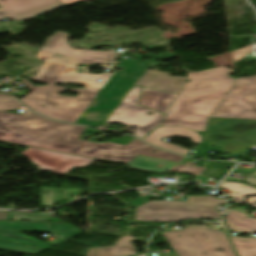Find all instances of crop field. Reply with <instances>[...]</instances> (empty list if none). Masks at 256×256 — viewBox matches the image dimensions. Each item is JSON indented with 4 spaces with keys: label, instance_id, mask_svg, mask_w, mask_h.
Returning <instances> with one entry per match:
<instances>
[{
    "label": "crop field",
    "instance_id": "crop-field-8",
    "mask_svg": "<svg viewBox=\"0 0 256 256\" xmlns=\"http://www.w3.org/2000/svg\"><path fill=\"white\" fill-rule=\"evenodd\" d=\"M210 117L256 119V76L238 78Z\"/></svg>",
    "mask_w": 256,
    "mask_h": 256
},
{
    "label": "crop field",
    "instance_id": "crop-field-10",
    "mask_svg": "<svg viewBox=\"0 0 256 256\" xmlns=\"http://www.w3.org/2000/svg\"><path fill=\"white\" fill-rule=\"evenodd\" d=\"M69 36V33L66 32H56L55 35L50 36L43 44L38 57L47 61L55 51H58L65 55L75 57L78 63L88 65L92 63L112 65L116 55L115 50H110L109 52L75 50L67 44ZM108 57H110V59H108Z\"/></svg>",
    "mask_w": 256,
    "mask_h": 256
},
{
    "label": "crop field",
    "instance_id": "crop-field-6",
    "mask_svg": "<svg viewBox=\"0 0 256 256\" xmlns=\"http://www.w3.org/2000/svg\"><path fill=\"white\" fill-rule=\"evenodd\" d=\"M179 256H236L225 234L193 226L162 233Z\"/></svg>",
    "mask_w": 256,
    "mask_h": 256
},
{
    "label": "crop field",
    "instance_id": "crop-field-32",
    "mask_svg": "<svg viewBox=\"0 0 256 256\" xmlns=\"http://www.w3.org/2000/svg\"><path fill=\"white\" fill-rule=\"evenodd\" d=\"M165 256H178L177 254H173V255H165Z\"/></svg>",
    "mask_w": 256,
    "mask_h": 256
},
{
    "label": "crop field",
    "instance_id": "crop-field-12",
    "mask_svg": "<svg viewBox=\"0 0 256 256\" xmlns=\"http://www.w3.org/2000/svg\"><path fill=\"white\" fill-rule=\"evenodd\" d=\"M63 6L59 0H0V20H24Z\"/></svg>",
    "mask_w": 256,
    "mask_h": 256
},
{
    "label": "crop field",
    "instance_id": "crop-field-14",
    "mask_svg": "<svg viewBox=\"0 0 256 256\" xmlns=\"http://www.w3.org/2000/svg\"><path fill=\"white\" fill-rule=\"evenodd\" d=\"M20 230L50 231L46 223L0 221V239L49 248L32 238L22 236Z\"/></svg>",
    "mask_w": 256,
    "mask_h": 256
},
{
    "label": "crop field",
    "instance_id": "crop-field-20",
    "mask_svg": "<svg viewBox=\"0 0 256 256\" xmlns=\"http://www.w3.org/2000/svg\"><path fill=\"white\" fill-rule=\"evenodd\" d=\"M19 107H22V105L18 103L15 99L0 93V111L7 112Z\"/></svg>",
    "mask_w": 256,
    "mask_h": 256
},
{
    "label": "crop field",
    "instance_id": "crop-field-25",
    "mask_svg": "<svg viewBox=\"0 0 256 256\" xmlns=\"http://www.w3.org/2000/svg\"><path fill=\"white\" fill-rule=\"evenodd\" d=\"M252 50V45L232 52L233 62H237L243 58L250 56V51Z\"/></svg>",
    "mask_w": 256,
    "mask_h": 256
},
{
    "label": "crop field",
    "instance_id": "crop-field-22",
    "mask_svg": "<svg viewBox=\"0 0 256 256\" xmlns=\"http://www.w3.org/2000/svg\"><path fill=\"white\" fill-rule=\"evenodd\" d=\"M206 167L177 165L169 170L199 175Z\"/></svg>",
    "mask_w": 256,
    "mask_h": 256
},
{
    "label": "crop field",
    "instance_id": "crop-field-19",
    "mask_svg": "<svg viewBox=\"0 0 256 256\" xmlns=\"http://www.w3.org/2000/svg\"><path fill=\"white\" fill-rule=\"evenodd\" d=\"M0 249L16 251V252L32 254V255H36L45 250V249H39V248L29 247L25 245L5 242L1 240H0Z\"/></svg>",
    "mask_w": 256,
    "mask_h": 256
},
{
    "label": "crop field",
    "instance_id": "crop-field-23",
    "mask_svg": "<svg viewBox=\"0 0 256 256\" xmlns=\"http://www.w3.org/2000/svg\"><path fill=\"white\" fill-rule=\"evenodd\" d=\"M48 61H56L61 63H66L70 66H76L77 67V61L75 58L65 56L61 53L55 52L51 58Z\"/></svg>",
    "mask_w": 256,
    "mask_h": 256
},
{
    "label": "crop field",
    "instance_id": "crop-field-21",
    "mask_svg": "<svg viewBox=\"0 0 256 256\" xmlns=\"http://www.w3.org/2000/svg\"><path fill=\"white\" fill-rule=\"evenodd\" d=\"M41 205L42 206H53V199H54V189L41 187Z\"/></svg>",
    "mask_w": 256,
    "mask_h": 256
},
{
    "label": "crop field",
    "instance_id": "crop-field-31",
    "mask_svg": "<svg viewBox=\"0 0 256 256\" xmlns=\"http://www.w3.org/2000/svg\"><path fill=\"white\" fill-rule=\"evenodd\" d=\"M34 113H32V112H30V111H28V110H26V112L24 113V114H22V115H28V116H31V115H33Z\"/></svg>",
    "mask_w": 256,
    "mask_h": 256
},
{
    "label": "crop field",
    "instance_id": "crop-field-26",
    "mask_svg": "<svg viewBox=\"0 0 256 256\" xmlns=\"http://www.w3.org/2000/svg\"><path fill=\"white\" fill-rule=\"evenodd\" d=\"M11 219L18 220H33L36 221V216L29 213H10Z\"/></svg>",
    "mask_w": 256,
    "mask_h": 256
},
{
    "label": "crop field",
    "instance_id": "crop-field-15",
    "mask_svg": "<svg viewBox=\"0 0 256 256\" xmlns=\"http://www.w3.org/2000/svg\"><path fill=\"white\" fill-rule=\"evenodd\" d=\"M171 136H181V137H190L194 143L199 144L203 140L201 139L200 135L195 132L191 131L182 127H161L155 130L152 134H150L144 140L159 147L162 149H168L170 151L182 153L186 155L190 150L180 148L174 145L167 144L160 140V138H167Z\"/></svg>",
    "mask_w": 256,
    "mask_h": 256
},
{
    "label": "crop field",
    "instance_id": "crop-field-28",
    "mask_svg": "<svg viewBox=\"0 0 256 256\" xmlns=\"http://www.w3.org/2000/svg\"><path fill=\"white\" fill-rule=\"evenodd\" d=\"M246 204L251 205L252 207H256V197H250L247 199Z\"/></svg>",
    "mask_w": 256,
    "mask_h": 256
},
{
    "label": "crop field",
    "instance_id": "crop-field-2",
    "mask_svg": "<svg viewBox=\"0 0 256 256\" xmlns=\"http://www.w3.org/2000/svg\"><path fill=\"white\" fill-rule=\"evenodd\" d=\"M84 130L85 127L50 121L37 114L28 117L0 112V141L127 164L137 155L177 163L183 159V156L158 150L138 139L125 146L79 140ZM152 150L157 152L152 153Z\"/></svg>",
    "mask_w": 256,
    "mask_h": 256
},
{
    "label": "crop field",
    "instance_id": "crop-field-18",
    "mask_svg": "<svg viewBox=\"0 0 256 256\" xmlns=\"http://www.w3.org/2000/svg\"><path fill=\"white\" fill-rule=\"evenodd\" d=\"M220 186L235 192L231 197L239 204H244L247 196L256 195V189L247 184L224 181Z\"/></svg>",
    "mask_w": 256,
    "mask_h": 256
},
{
    "label": "crop field",
    "instance_id": "crop-field-16",
    "mask_svg": "<svg viewBox=\"0 0 256 256\" xmlns=\"http://www.w3.org/2000/svg\"><path fill=\"white\" fill-rule=\"evenodd\" d=\"M177 95L143 89L139 105L149 107L166 115Z\"/></svg>",
    "mask_w": 256,
    "mask_h": 256
},
{
    "label": "crop field",
    "instance_id": "crop-field-29",
    "mask_svg": "<svg viewBox=\"0 0 256 256\" xmlns=\"http://www.w3.org/2000/svg\"><path fill=\"white\" fill-rule=\"evenodd\" d=\"M30 90H33L34 87L27 81V80H21Z\"/></svg>",
    "mask_w": 256,
    "mask_h": 256
},
{
    "label": "crop field",
    "instance_id": "crop-field-9",
    "mask_svg": "<svg viewBox=\"0 0 256 256\" xmlns=\"http://www.w3.org/2000/svg\"><path fill=\"white\" fill-rule=\"evenodd\" d=\"M140 89L132 88L106 122L138 127L135 135L142 138L156 126L161 125L165 116L148 108L136 106ZM147 112L153 114L149 116Z\"/></svg>",
    "mask_w": 256,
    "mask_h": 256
},
{
    "label": "crop field",
    "instance_id": "crop-field-13",
    "mask_svg": "<svg viewBox=\"0 0 256 256\" xmlns=\"http://www.w3.org/2000/svg\"><path fill=\"white\" fill-rule=\"evenodd\" d=\"M225 222L233 232H256V219H249L244 213L226 211ZM229 237L239 256H256V238Z\"/></svg>",
    "mask_w": 256,
    "mask_h": 256
},
{
    "label": "crop field",
    "instance_id": "crop-field-5",
    "mask_svg": "<svg viewBox=\"0 0 256 256\" xmlns=\"http://www.w3.org/2000/svg\"><path fill=\"white\" fill-rule=\"evenodd\" d=\"M225 203L226 200L207 196L187 197V202H148L136 208V220L173 222L193 218L221 219L216 208Z\"/></svg>",
    "mask_w": 256,
    "mask_h": 256
},
{
    "label": "crop field",
    "instance_id": "crop-field-1",
    "mask_svg": "<svg viewBox=\"0 0 256 256\" xmlns=\"http://www.w3.org/2000/svg\"><path fill=\"white\" fill-rule=\"evenodd\" d=\"M234 70L224 67L187 73L185 83L161 126H182L201 135L209 145H222L226 154H235L256 144V121L209 119V116L236 81Z\"/></svg>",
    "mask_w": 256,
    "mask_h": 256
},
{
    "label": "crop field",
    "instance_id": "crop-field-17",
    "mask_svg": "<svg viewBox=\"0 0 256 256\" xmlns=\"http://www.w3.org/2000/svg\"><path fill=\"white\" fill-rule=\"evenodd\" d=\"M131 240H135V238L125 235L124 237L119 238L114 247L90 248L86 256H136V250L132 244L133 242H129Z\"/></svg>",
    "mask_w": 256,
    "mask_h": 256
},
{
    "label": "crop field",
    "instance_id": "crop-field-11",
    "mask_svg": "<svg viewBox=\"0 0 256 256\" xmlns=\"http://www.w3.org/2000/svg\"><path fill=\"white\" fill-rule=\"evenodd\" d=\"M30 148V147H29ZM30 159L39 171L65 175L73 167H84L93 159L30 148L20 153Z\"/></svg>",
    "mask_w": 256,
    "mask_h": 256
},
{
    "label": "crop field",
    "instance_id": "crop-field-30",
    "mask_svg": "<svg viewBox=\"0 0 256 256\" xmlns=\"http://www.w3.org/2000/svg\"><path fill=\"white\" fill-rule=\"evenodd\" d=\"M64 5L70 2H75V1H84V0H60Z\"/></svg>",
    "mask_w": 256,
    "mask_h": 256
},
{
    "label": "crop field",
    "instance_id": "crop-field-24",
    "mask_svg": "<svg viewBox=\"0 0 256 256\" xmlns=\"http://www.w3.org/2000/svg\"><path fill=\"white\" fill-rule=\"evenodd\" d=\"M52 230L60 232V233H65L71 237L77 235L80 233V231L74 227L70 226H65V225H57V224H51L50 225Z\"/></svg>",
    "mask_w": 256,
    "mask_h": 256
},
{
    "label": "crop field",
    "instance_id": "crop-field-4",
    "mask_svg": "<svg viewBox=\"0 0 256 256\" xmlns=\"http://www.w3.org/2000/svg\"><path fill=\"white\" fill-rule=\"evenodd\" d=\"M63 90H74L79 92V95L65 97L57 94ZM98 92L88 89H65L54 85L37 86L20 100L30 109L49 118L74 123ZM41 105H45V107Z\"/></svg>",
    "mask_w": 256,
    "mask_h": 256
},
{
    "label": "crop field",
    "instance_id": "crop-field-3",
    "mask_svg": "<svg viewBox=\"0 0 256 256\" xmlns=\"http://www.w3.org/2000/svg\"><path fill=\"white\" fill-rule=\"evenodd\" d=\"M46 84L80 83L88 89L101 90L76 123L98 127L104 123L132 87L80 76L75 68L64 64L45 63L36 76L28 77ZM99 118H103L99 120Z\"/></svg>",
    "mask_w": 256,
    "mask_h": 256
},
{
    "label": "crop field",
    "instance_id": "crop-field-7",
    "mask_svg": "<svg viewBox=\"0 0 256 256\" xmlns=\"http://www.w3.org/2000/svg\"><path fill=\"white\" fill-rule=\"evenodd\" d=\"M153 64L154 63L134 62L124 59L122 63L114 64L115 67L125 68L123 71L97 75L91 73L80 74L130 86L136 85L178 94L181 91L186 78L169 77L168 75L170 73L149 70Z\"/></svg>",
    "mask_w": 256,
    "mask_h": 256
},
{
    "label": "crop field",
    "instance_id": "crop-field-27",
    "mask_svg": "<svg viewBox=\"0 0 256 256\" xmlns=\"http://www.w3.org/2000/svg\"><path fill=\"white\" fill-rule=\"evenodd\" d=\"M244 182L249 183V184H251V185H253V186L256 187V178H255V177L248 176V177L244 180Z\"/></svg>",
    "mask_w": 256,
    "mask_h": 256
}]
</instances>
